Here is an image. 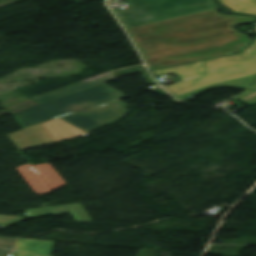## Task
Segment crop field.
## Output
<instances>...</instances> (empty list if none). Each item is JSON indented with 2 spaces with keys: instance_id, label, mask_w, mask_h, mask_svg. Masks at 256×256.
<instances>
[{
  "instance_id": "9",
  "label": "crop field",
  "mask_w": 256,
  "mask_h": 256,
  "mask_svg": "<svg viewBox=\"0 0 256 256\" xmlns=\"http://www.w3.org/2000/svg\"><path fill=\"white\" fill-rule=\"evenodd\" d=\"M114 79H116V77L113 76L111 73H108V75H106V76H103V77H100L97 79H93V80H90L87 82H80V83H77V84H74V85H71V86L38 96V97H35L32 99L35 100L36 102L42 104V103L72 94V93H76V92L106 83V82L114 80Z\"/></svg>"
},
{
  "instance_id": "11",
  "label": "crop field",
  "mask_w": 256,
  "mask_h": 256,
  "mask_svg": "<svg viewBox=\"0 0 256 256\" xmlns=\"http://www.w3.org/2000/svg\"><path fill=\"white\" fill-rule=\"evenodd\" d=\"M255 93V92H254ZM253 94V93H252ZM251 95V94H250ZM247 96H249V95H247ZM247 96H245V97H247ZM245 97H243V98H245ZM243 98H241V99H243Z\"/></svg>"
},
{
  "instance_id": "12",
  "label": "crop field",
  "mask_w": 256,
  "mask_h": 256,
  "mask_svg": "<svg viewBox=\"0 0 256 256\" xmlns=\"http://www.w3.org/2000/svg\"><path fill=\"white\" fill-rule=\"evenodd\" d=\"M255 32H256V27H255Z\"/></svg>"
},
{
  "instance_id": "6",
  "label": "crop field",
  "mask_w": 256,
  "mask_h": 256,
  "mask_svg": "<svg viewBox=\"0 0 256 256\" xmlns=\"http://www.w3.org/2000/svg\"><path fill=\"white\" fill-rule=\"evenodd\" d=\"M126 104L116 101L100 105L64 118H61L76 127L88 132L106 123L112 124L127 112Z\"/></svg>"
},
{
  "instance_id": "1",
  "label": "crop field",
  "mask_w": 256,
  "mask_h": 256,
  "mask_svg": "<svg viewBox=\"0 0 256 256\" xmlns=\"http://www.w3.org/2000/svg\"><path fill=\"white\" fill-rule=\"evenodd\" d=\"M256 20L216 9L128 28L151 70L237 52L250 38L233 24ZM145 35H149L146 37Z\"/></svg>"
},
{
  "instance_id": "8",
  "label": "crop field",
  "mask_w": 256,
  "mask_h": 256,
  "mask_svg": "<svg viewBox=\"0 0 256 256\" xmlns=\"http://www.w3.org/2000/svg\"><path fill=\"white\" fill-rule=\"evenodd\" d=\"M15 238L0 237V256L12 253ZM55 242L18 239L15 256H51Z\"/></svg>"
},
{
  "instance_id": "5",
  "label": "crop field",
  "mask_w": 256,
  "mask_h": 256,
  "mask_svg": "<svg viewBox=\"0 0 256 256\" xmlns=\"http://www.w3.org/2000/svg\"><path fill=\"white\" fill-rule=\"evenodd\" d=\"M88 135L73 125L58 119L9 134L21 150Z\"/></svg>"
},
{
  "instance_id": "7",
  "label": "crop field",
  "mask_w": 256,
  "mask_h": 256,
  "mask_svg": "<svg viewBox=\"0 0 256 256\" xmlns=\"http://www.w3.org/2000/svg\"><path fill=\"white\" fill-rule=\"evenodd\" d=\"M18 169L38 196L66 185L49 163L35 166L28 163Z\"/></svg>"
},
{
  "instance_id": "3",
  "label": "crop field",
  "mask_w": 256,
  "mask_h": 256,
  "mask_svg": "<svg viewBox=\"0 0 256 256\" xmlns=\"http://www.w3.org/2000/svg\"><path fill=\"white\" fill-rule=\"evenodd\" d=\"M125 97L103 84L13 115L21 128Z\"/></svg>"
},
{
  "instance_id": "2",
  "label": "crop field",
  "mask_w": 256,
  "mask_h": 256,
  "mask_svg": "<svg viewBox=\"0 0 256 256\" xmlns=\"http://www.w3.org/2000/svg\"><path fill=\"white\" fill-rule=\"evenodd\" d=\"M155 76L175 74L184 81L164 86L173 96L184 101L207 89L228 87L246 89L256 74V38L244 51L188 64L152 71ZM203 75L202 77H189Z\"/></svg>"
},
{
  "instance_id": "10",
  "label": "crop field",
  "mask_w": 256,
  "mask_h": 256,
  "mask_svg": "<svg viewBox=\"0 0 256 256\" xmlns=\"http://www.w3.org/2000/svg\"><path fill=\"white\" fill-rule=\"evenodd\" d=\"M222 4L234 11L256 14V2L254 0H220Z\"/></svg>"
},
{
  "instance_id": "13",
  "label": "crop field",
  "mask_w": 256,
  "mask_h": 256,
  "mask_svg": "<svg viewBox=\"0 0 256 256\" xmlns=\"http://www.w3.org/2000/svg\"><path fill=\"white\" fill-rule=\"evenodd\" d=\"M256 1V0H255Z\"/></svg>"
},
{
  "instance_id": "4",
  "label": "crop field",
  "mask_w": 256,
  "mask_h": 256,
  "mask_svg": "<svg viewBox=\"0 0 256 256\" xmlns=\"http://www.w3.org/2000/svg\"><path fill=\"white\" fill-rule=\"evenodd\" d=\"M127 2L131 8L114 11L124 28L215 8L211 0H127Z\"/></svg>"
}]
</instances>
